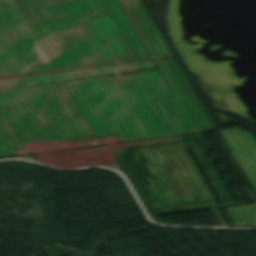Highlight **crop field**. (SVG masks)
<instances>
[{"instance_id": "obj_1", "label": "crop field", "mask_w": 256, "mask_h": 256, "mask_svg": "<svg viewBox=\"0 0 256 256\" xmlns=\"http://www.w3.org/2000/svg\"><path fill=\"white\" fill-rule=\"evenodd\" d=\"M167 60L210 129L196 111ZM160 61L179 87L203 130L199 129ZM156 63L176 96L155 101L174 134L170 133L151 102V99L172 96L158 71L119 76L123 72L154 68L152 61L15 78L0 81V158L214 129L213 122L176 59L156 60ZM145 101L157 115L166 135L144 104ZM167 110L174 116L172 119L180 133L168 117ZM114 133H118L121 140L110 135ZM21 143L26 150H23Z\"/></svg>"}, {"instance_id": "obj_2", "label": "crop field", "mask_w": 256, "mask_h": 256, "mask_svg": "<svg viewBox=\"0 0 256 256\" xmlns=\"http://www.w3.org/2000/svg\"><path fill=\"white\" fill-rule=\"evenodd\" d=\"M148 59L117 0H0V80Z\"/></svg>"}, {"instance_id": "obj_3", "label": "crop field", "mask_w": 256, "mask_h": 256, "mask_svg": "<svg viewBox=\"0 0 256 256\" xmlns=\"http://www.w3.org/2000/svg\"><path fill=\"white\" fill-rule=\"evenodd\" d=\"M220 133L256 191V141L252 134L238 129Z\"/></svg>"}, {"instance_id": "obj_4", "label": "crop field", "mask_w": 256, "mask_h": 256, "mask_svg": "<svg viewBox=\"0 0 256 256\" xmlns=\"http://www.w3.org/2000/svg\"><path fill=\"white\" fill-rule=\"evenodd\" d=\"M139 9L140 13L137 11ZM129 8L123 9L124 13L126 14L127 18L129 19L130 23L132 24L133 28L135 29L136 33L138 34L139 38L141 39L142 43L144 44L145 48L149 52L152 58H163V57H170L172 56L171 52L169 51L167 45L165 44L164 40L162 39L161 35L159 34L157 28L155 27L154 23L152 22L151 18L149 17L147 11L145 10L144 6L140 7H133L130 8L132 13L134 14L135 18L137 19L138 23L140 24L141 28L145 32L146 36L148 37L149 41L151 42L152 46L154 47L155 51L157 52L159 57H156L154 52L152 51L151 47L149 46L148 42L146 41L145 37L143 36L141 30L139 29L138 25L136 24L135 20L133 19L132 15L130 14ZM143 16L144 20L141 18ZM148 26L152 32L148 30L146 27ZM156 38L157 41L154 40ZM160 45L161 49L163 50L164 54H162L161 50L159 49L158 45Z\"/></svg>"}, {"instance_id": "obj_5", "label": "crop field", "mask_w": 256, "mask_h": 256, "mask_svg": "<svg viewBox=\"0 0 256 256\" xmlns=\"http://www.w3.org/2000/svg\"><path fill=\"white\" fill-rule=\"evenodd\" d=\"M236 226H251L240 207L226 208Z\"/></svg>"}, {"instance_id": "obj_6", "label": "crop field", "mask_w": 256, "mask_h": 256, "mask_svg": "<svg viewBox=\"0 0 256 256\" xmlns=\"http://www.w3.org/2000/svg\"><path fill=\"white\" fill-rule=\"evenodd\" d=\"M244 212L253 226H256V205L243 206Z\"/></svg>"}]
</instances>
